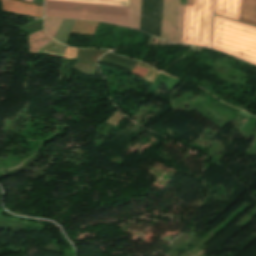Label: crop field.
Wrapping results in <instances>:
<instances>
[{
    "label": "crop field",
    "instance_id": "crop-field-4",
    "mask_svg": "<svg viewBox=\"0 0 256 256\" xmlns=\"http://www.w3.org/2000/svg\"><path fill=\"white\" fill-rule=\"evenodd\" d=\"M163 0H142L140 30L159 36Z\"/></svg>",
    "mask_w": 256,
    "mask_h": 256
},
{
    "label": "crop field",
    "instance_id": "crop-field-19",
    "mask_svg": "<svg viewBox=\"0 0 256 256\" xmlns=\"http://www.w3.org/2000/svg\"><path fill=\"white\" fill-rule=\"evenodd\" d=\"M187 5H193V0H187Z\"/></svg>",
    "mask_w": 256,
    "mask_h": 256
},
{
    "label": "crop field",
    "instance_id": "crop-field-2",
    "mask_svg": "<svg viewBox=\"0 0 256 256\" xmlns=\"http://www.w3.org/2000/svg\"><path fill=\"white\" fill-rule=\"evenodd\" d=\"M212 48L256 64V28L215 16Z\"/></svg>",
    "mask_w": 256,
    "mask_h": 256
},
{
    "label": "crop field",
    "instance_id": "crop-field-12",
    "mask_svg": "<svg viewBox=\"0 0 256 256\" xmlns=\"http://www.w3.org/2000/svg\"><path fill=\"white\" fill-rule=\"evenodd\" d=\"M97 24L77 21L71 33L92 35Z\"/></svg>",
    "mask_w": 256,
    "mask_h": 256
},
{
    "label": "crop field",
    "instance_id": "crop-field-10",
    "mask_svg": "<svg viewBox=\"0 0 256 256\" xmlns=\"http://www.w3.org/2000/svg\"><path fill=\"white\" fill-rule=\"evenodd\" d=\"M141 0H130L128 27L139 29Z\"/></svg>",
    "mask_w": 256,
    "mask_h": 256
},
{
    "label": "crop field",
    "instance_id": "crop-field-16",
    "mask_svg": "<svg viewBox=\"0 0 256 256\" xmlns=\"http://www.w3.org/2000/svg\"><path fill=\"white\" fill-rule=\"evenodd\" d=\"M147 72H148V69L135 66L134 70L132 71V74L143 78Z\"/></svg>",
    "mask_w": 256,
    "mask_h": 256
},
{
    "label": "crop field",
    "instance_id": "crop-field-7",
    "mask_svg": "<svg viewBox=\"0 0 256 256\" xmlns=\"http://www.w3.org/2000/svg\"><path fill=\"white\" fill-rule=\"evenodd\" d=\"M241 0H215L214 12L239 20Z\"/></svg>",
    "mask_w": 256,
    "mask_h": 256
},
{
    "label": "crop field",
    "instance_id": "crop-field-15",
    "mask_svg": "<svg viewBox=\"0 0 256 256\" xmlns=\"http://www.w3.org/2000/svg\"><path fill=\"white\" fill-rule=\"evenodd\" d=\"M77 49L67 47L63 58H76Z\"/></svg>",
    "mask_w": 256,
    "mask_h": 256
},
{
    "label": "crop field",
    "instance_id": "crop-field-11",
    "mask_svg": "<svg viewBox=\"0 0 256 256\" xmlns=\"http://www.w3.org/2000/svg\"><path fill=\"white\" fill-rule=\"evenodd\" d=\"M74 23L75 21L73 20L63 19L54 38L61 43H66Z\"/></svg>",
    "mask_w": 256,
    "mask_h": 256
},
{
    "label": "crop field",
    "instance_id": "crop-field-17",
    "mask_svg": "<svg viewBox=\"0 0 256 256\" xmlns=\"http://www.w3.org/2000/svg\"><path fill=\"white\" fill-rule=\"evenodd\" d=\"M239 114H243V115H246V116H250V117L256 118L255 116H252V115H250L248 113H245V112H243L241 110H240Z\"/></svg>",
    "mask_w": 256,
    "mask_h": 256
},
{
    "label": "crop field",
    "instance_id": "crop-field-6",
    "mask_svg": "<svg viewBox=\"0 0 256 256\" xmlns=\"http://www.w3.org/2000/svg\"><path fill=\"white\" fill-rule=\"evenodd\" d=\"M3 3V11L43 17V6L29 4L15 0H1Z\"/></svg>",
    "mask_w": 256,
    "mask_h": 256
},
{
    "label": "crop field",
    "instance_id": "crop-field-14",
    "mask_svg": "<svg viewBox=\"0 0 256 256\" xmlns=\"http://www.w3.org/2000/svg\"><path fill=\"white\" fill-rule=\"evenodd\" d=\"M183 12L184 6H180L179 8V22H178V33L176 43H181V36H182V24H183Z\"/></svg>",
    "mask_w": 256,
    "mask_h": 256
},
{
    "label": "crop field",
    "instance_id": "crop-field-13",
    "mask_svg": "<svg viewBox=\"0 0 256 256\" xmlns=\"http://www.w3.org/2000/svg\"><path fill=\"white\" fill-rule=\"evenodd\" d=\"M61 21L62 19L45 18L44 20L45 31L53 37Z\"/></svg>",
    "mask_w": 256,
    "mask_h": 256
},
{
    "label": "crop field",
    "instance_id": "crop-field-20",
    "mask_svg": "<svg viewBox=\"0 0 256 256\" xmlns=\"http://www.w3.org/2000/svg\"><path fill=\"white\" fill-rule=\"evenodd\" d=\"M180 5H186V0H180Z\"/></svg>",
    "mask_w": 256,
    "mask_h": 256
},
{
    "label": "crop field",
    "instance_id": "crop-field-8",
    "mask_svg": "<svg viewBox=\"0 0 256 256\" xmlns=\"http://www.w3.org/2000/svg\"><path fill=\"white\" fill-rule=\"evenodd\" d=\"M240 21L256 26V0H242Z\"/></svg>",
    "mask_w": 256,
    "mask_h": 256
},
{
    "label": "crop field",
    "instance_id": "crop-field-5",
    "mask_svg": "<svg viewBox=\"0 0 256 256\" xmlns=\"http://www.w3.org/2000/svg\"><path fill=\"white\" fill-rule=\"evenodd\" d=\"M178 0H164L161 37L174 41L177 29Z\"/></svg>",
    "mask_w": 256,
    "mask_h": 256
},
{
    "label": "crop field",
    "instance_id": "crop-field-18",
    "mask_svg": "<svg viewBox=\"0 0 256 256\" xmlns=\"http://www.w3.org/2000/svg\"><path fill=\"white\" fill-rule=\"evenodd\" d=\"M33 2L43 4V0H33Z\"/></svg>",
    "mask_w": 256,
    "mask_h": 256
},
{
    "label": "crop field",
    "instance_id": "crop-field-3",
    "mask_svg": "<svg viewBox=\"0 0 256 256\" xmlns=\"http://www.w3.org/2000/svg\"><path fill=\"white\" fill-rule=\"evenodd\" d=\"M213 0H194L185 6L182 42L208 45Z\"/></svg>",
    "mask_w": 256,
    "mask_h": 256
},
{
    "label": "crop field",
    "instance_id": "crop-field-9",
    "mask_svg": "<svg viewBox=\"0 0 256 256\" xmlns=\"http://www.w3.org/2000/svg\"><path fill=\"white\" fill-rule=\"evenodd\" d=\"M52 38L49 37L44 30H40L29 36L30 53L37 54L38 50L48 43Z\"/></svg>",
    "mask_w": 256,
    "mask_h": 256
},
{
    "label": "crop field",
    "instance_id": "crop-field-1",
    "mask_svg": "<svg viewBox=\"0 0 256 256\" xmlns=\"http://www.w3.org/2000/svg\"><path fill=\"white\" fill-rule=\"evenodd\" d=\"M129 7V0H53ZM97 4L45 1V15L59 18L102 21L127 27L128 8Z\"/></svg>",
    "mask_w": 256,
    "mask_h": 256
}]
</instances>
